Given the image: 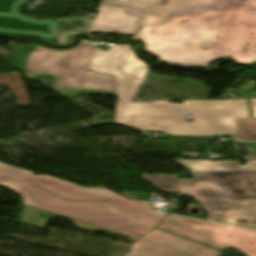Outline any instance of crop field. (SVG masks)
Instances as JSON below:
<instances>
[{"instance_id":"14","label":"crop field","mask_w":256,"mask_h":256,"mask_svg":"<svg viewBox=\"0 0 256 256\" xmlns=\"http://www.w3.org/2000/svg\"><path fill=\"white\" fill-rule=\"evenodd\" d=\"M237 144L245 147L249 152L248 155L256 154V143L255 142H239Z\"/></svg>"},{"instance_id":"16","label":"crop field","mask_w":256,"mask_h":256,"mask_svg":"<svg viewBox=\"0 0 256 256\" xmlns=\"http://www.w3.org/2000/svg\"><path fill=\"white\" fill-rule=\"evenodd\" d=\"M252 117L256 118V99H249Z\"/></svg>"},{"instance_id":"1","label":"crop field","mask_w":256,"mask_h":256,"mask_svg":"<svg viewBox=\"0 0 256 256\" xmlns=\"http://www.w3.org/2000/svg\"><path fill=\"white\" fill-rule=\"evenodd\" d=\"M139 25L133 41L163 62L256 61V0H105L89 31L134 34Z\"/></svg>"},{"instance_id":"12","label":"crop field","mask_w":256,"mask_h":256,"mask_svg":"<svg viewBox=\"0 0 256 256\" xmlns=\"http://www.w3.org/2000/svg\"><path fill=\"white\" fill-rule=\"evenodd\" d=\"M12 174H34L30 171H26L13 166L5 165L0 162V175H12Z\"/></svg>"},{"instance_id":"11","label":"crop field","mask_w":256,"mask_h":256,"mask_svg":"<svg viewBox=\"0 0 256 256\" xmlns=\"http://www.w3.org/2000/svg\"><path fill=\"white\" fill-rule=\"evenodd\" d=\"M239 132L256 133V119H235Z\"/></svg>"},{"instance_id":"17","label":"crop field","mask_w":256,"mask_h":256,"mask_svg":"<svg viewBox=\"0 0 256 256\" xmlns=\"http://www.w3.org/2000/svg\"><path fill=\"white\" fill-rule=\"evenodd\" d=\"M244 160H256V155H254V156H245Z\"/></svg>"},{"instance_id":"13","label":"crop field","mask_w":256,"mask_h":256,"mask_svg":"<svg viewBox=\"0 0 256 256\" xmlns=\"http://www.w3.org/2000/svg\"><path fill=\"white\" fill-rule=\"evenodd\" d=\"M127 197L133 200H147L149 194L147 193H140V192H122Z\"/></svg>"},{"instance_id":"7","label":"crop field","mask_w":256,"mask_h":256,"mask_svg":"<svg viewBox=\"0 0 256 256\" xmlns=\"http://www.w3.org/2000/svg\"><path fill=\"white\" fill-rule=\"evenodd\" d=\"M125 256H217L218 250L154 228Z\"/></svg>"},{"instance_id":"6","label":"crop field","mask_w":256,"mask_h":256,"mask_svg":"<svg viewBox=\"0 0 256 256\" xmlns=\"http://www.w3.org/2000/svg\"><path fill=\"white\" fill-rule=\"evenodd\" d=\"M157 227L222 250L235 247L247 256H256V230L189 219L166 216Z\"/></svg>"},{"instance_id":"4","label":"crop field","mask_w":256,"mask_h":256,"mask_svg":"<svg viewBox=\"0 0 256 256\" xmlns=\"http://www.w3.org/2000/svg\"><path fill=\"white\" fill-rule=\"evenodd\" d=\"M195 179L167 174L143 175L163 193H186L207 213L208 220L256 228L255 171L192 172Z\"/></svg>"},{"instance_id":"3","label":"crop field","mask_w":256,"mask_h":256,"mask_svg":"<svg viewBox=\"0 0 256 256\" xmlns=\"http://www.w3.org/2000/svg\"><path fill=\"white\" fill-rule=\"evenodd\" d=\"M23 197L21 222L44 226L52 217L73 220L81 229L102 230L137 240L166 215L148 201H131L105 188L86 189L48 175L0 176Z\"/></svg>"},{"instance_id":"10","label":"crop field","mask_w":256,"mask_h":256,"mask_svg":"<svg viewBox=\"0 0 256 256\" xmlns=\"http://www.w3.org/2000/svg\"><path fill=\"white\" fill-rule=\"evenodd\" d=\"M191 171H225V170H255L256 161H248L247 165L241 166L238 161L210 162L200 160H179L176 161Z\"/></svg>"},{"instance_id":"9","label":"crop field","mask_w":256,"mask_h":256,"mask_svg":"<svg viewBox=\"0 0 256 256\" xmlns=\"http://www.w3.org/2000/svg\"><path fill=\"white\" fill-rule=\"evenodd\" d=\"M91 18L56 19L59 46H68L74 42L73 33H86Z\"/></svg>"},{"instance_id":"5","label":"crop field","mask_w":256,"mask_h":256,"mask_svg":"<svg viewBox=\"0 0 256 256\" xmlns=\"http://www.w3.org/2000/svg\"><path fill=\"white\" fill-rule=\"evenodd\" d=\"M94 46L80 44L66 51L33 46L30 51H17L21 66L29 81L51 76L52 89L61 96L77 93L116 96L113 75L85 73Z\"/></svg>"},{"instance_id":"2","label":"crop field","mask_w":256,"mask_h":256,"mask_svg":"<svg viewBox=\"0 0 256 256\" xmlns=\"http://www.w3.org/2000/svg\"><path fill=\"white\" fill-rule=\"evenodd\" d=\"M89 69L117 76L116 121H92L93 124L120 123L133 129L176 135L237 134L234 118H250L247 99L132 103L149 67L137 59L132 46L112 45L109 52L96 49ZM186 114H193L191 123Z\"/></svg>"},{"instance_id":"8","label":"crop field","mask_w":256,"mask_h":256,"mask_svg":"<svg viewBox=\"0 0 256 256\" xmlns=\"http://www.w3.org/2000/svg\"><path fill=\"white\" fill-rule=\"evenodd\" d=\"M28 0H0V36L25 37L36 34L57 45L55 19L33 20L18 14L17 8Z\"/></svg>"},{"instance_id":"15","label":"crop field","mask_w":256,"mask_h":256,"mask_svg":"<svg viewBox=\"0 0 256 256\" xmlns=\"http://www.w3.org/2000/svg\"><path fill=\"white\" fill-rule=\"evenodd\" d=\"M256 141V134H244V133H238L236 135V141Z\"/></svg>"}]
</instances>
